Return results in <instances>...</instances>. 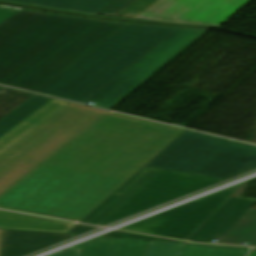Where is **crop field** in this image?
<instances>
[{
  "label": "crop field",
  "instance_id": "obj_28",
  "mask_svg": "<svg viewBox=\"0 0 256 256\" xmlns=\"http://www.w3.org/2000/svg\"><path fill=\"white\" fill-rule=\"evenodd\" d=\"M256 247V237L247 245Z\"/></svg>",
  "mask_w": 256,
  "mask_h": 256
},
{
  "label": "crop field",
  "instance_id": "obj_15",
  "mask_svg": "<svg viewBox=\"0 0 256 256\" xmlns=\"http://www.w3.org/2000/svg\"><path fill=\"white\" fill-rule=\"evenodd\" d=\"M76 224L0 210V228L67 233Z\"/></svg>",
  "mask_w": 256,
  "mask_h": 256
},
{
  "label": "crop field",
  "instance_id": "obj_25",
  "mask_svg": "<svg viewBox=\"0 0 256 256\" xmlns=\"http://www.w3.org/2000/svg\"><path fill=\"white\" fill-rule=\"evenodd\" d=\"M95 229L94 227H89L85 225H80L77 224L73 229H71L68 233H73V234H81L90 230Z\"/></svg>",
  "mask_w": 256,
  "mask_h": 256
},
{
  "label": "crop field",
  "instance_id": "obj_14",
  "mask_svg": "<svg viewBox=\"0 0 256 256\" xmlns=\"http://www.w3.org/2000/svg\"><path fill=\"white\" fill-rule=\"evenodd\" d=\"M69 104L71 103L56 99L51 100L25 121L0 138V155L38 129Z\"/></svg>",
  "mask_w": 256,
  "mask_h": 256
},
{
  "label": "crop field",
  "instance_id": "obj_23",
  "mask_svg": "<svg viewBox=\"0 0 256 256\" xmlns=\"http://www.w3.org/2000/svg\"><path fill=\"white\" fill-rule=\"evenodd\" d=\"M103 236L132 238V239H146V240L176 241V240L156 238V237H150V236H144V235H138V234H132V233H125V232H119V231H114V232H111V233L103 235ZM178 242H182V241H178Z\"/></svg>",
  "mask_w": 256,
  "mask_h": 256
},
{
  "label": "crop field",
  "instance_id": "obj_11",
  "mask_svg": "<svg viewBox=\"0 0 256 256\" xmlns=\"http://www.w3.org/2000/svg\"><path fill=\"white\" fill-rule=\"evenodd\" d=\"M72 235L5 230L1 256H22Z\"/></svg>",
  "mask_w": 256,
  "mask_h": 256
},
{
  "label": "crop field",
  "instance_id": "obj_4",
  "mask_svg": "<svg viewBox=\"0 0 256 256\" xmlns=\"http://www.w3.org/2000/svg\"><path fill=\"white\" fill-rule=\"evenodd\" d=\"M105 113L72 103L0 156V198Z\"/></svg>",
  "mask_w": 256,
  "mask_h": 256
},
{
  "label": "crop field",
  "instance_id": "obj_17",
  "mask_svg": "<svg viewBox=\"0 0 256 256\" xmlns=\"http://www.w3.org/2000/svg\"><path fill=\"white\" fill-rule=\"evenodd\" d=\"M52 98L34 95L11 114L0 121V137L25 120Z\"/></svg>",
  "mask_w": 256,
  "mask_h": 256
},
{
  "label": "crop field",
  "instance_id": "obj_10",
  "mask_svg": "<svg viewBox=\"0 0 256 256\" xmlns=\"http://www.w3.org/2000/svg\"><path fill=\"white\" fill-rule=\"evenodd\" d=\"M256 204V199L230 197L187 240L217 244Z\"/></svg>",
  "mask_w": 256,
  "mask_h": 256
},
{
  "label": "crop field",
  "instance_id": "obj_16",
  "mask_svg": "<svg viewBox=\"0 0 256 256\" xmlns=\"http://www.w3.org/2000/svg\"><path fill=\"white\" fill-rule=\"evenodd\" d=\"M33 7L92 15L112 0H0Z\"/></svg>",
  "mask_w": 256,
  "mask_h": 256
},
{
  "label": "crop field",
  "instance_id": "obj_30",
  "mask_svg": "<svg viewBox=\"0 0 256 256\" xmlns=\"http://www.w3.org/2000/svg\"><path fill=\"white\" fill-rule=\"evenodd\" d=\"M253 209H256V206Z\"/></svg>",
  "mask_w": 256,
  "mask_h": 256
},
{
  "label": "crop field",
  "instance_id": "obj_24",
  "mask_svg": "<svg viewBox=\"0 0 256 256\" xmlns=\"http://www.w3.org/2000/svg\"><path fill=\"white\" fill-rule=\"evenodd\" d=\"M18 11V9L0 7V23Z\"/></svg>",
  "mask_w": 256,
  "mask_h": 256
},
{
  "label": "crop field",
  "instance_id": "obj_29",
  "mask_svg": "<svg viewBox=\"0 0 256 256\" xmlns=\"http://www.w3.org/2000/svg\"><path fill=\"white\" fill-rule=\"evenodd\" d=\"M249 256H256V249H252V251L249 254Z\"/></svg>",
  "mask_w": 256,
  "mask_h": 256
},
{
  "label": "crop field",
  "instance_id": "obj_20",
  "mask_svg": "<svg viewBox=\"0 0 256 256\" xmlns=\"http://www.w3.org/2000/svg\"><path fill=\"white\" fill-rule=\"evenodd\" d=\"M32 94L4 88L0 91V120L29 99Z\"/></svg>",
  "mask_w": 256,
  "mask_h": 256
},
{
  "label": "crop field",
  "instance_id": "obj_22",
  "mask_svg": "<svg viewBox=\"0 0 256 256\" xmlns=\"http://www.w3.org/2000/svg\"><path fill=\"white\" fill-rule=\"evenodd\" d=\"M134 1L135 0H114L99 12H97V14L114 16Z\"/></svg>",
  "mask_w": 256,
  "mask_h": 256
},
{
  "label": "crop field",
  "instance_id": "obj_12",
  "mask_svg": "<svg viewBox=\"0 0 256 256\" xmlns=\"http://www.w3.org/2000/svg\"><path fill=\"white\" fill-rule=\"evenodd\" d=\"M159 171L143 167L81 222L98 225Z\"/></svg>",
  "mask_w": 256,
  "mask_h": 256
},
{
  "label": "crop field",
  "instance_id": "obj_18",
  "mask_svg": "<svg viewBox=\"0 0 256 256\" xmlns=\"http://www.w3.org/2000/svg\"><path fill=\"white\" fill-rule=\"evenodd\" d=\"M256 236V210H251L218 244L242 246Z\"/></svg>",
  "mask_w": 256,
  "mask_h": 256
},
{
  "label": "crop field",
  "instance_id": "obj_26",
  "mask_svg": "<svg viewBox=\"0 0 256 256\" xmlns=\"http://www.w3.org/2000/svg\"><path fill=\"white\" fill-rule=\"evenodd\" d=\"M80 252L81 251H78V250H63L55 254H52L50 256H79Z\"/></svg>",
  "mask_w": 256,
  "mask_h": 256
},
{
  "label": "crop field",
  "instance_id": "obj_2",
  "mask_svg": "<svg viewBox=\"0 0 256 256\" xmlns=\"http://www.w3.org/2000/svg\"><path fill=\"white\" fill-rule=\"evenodd\" d=\"M125 26L21 10L0 24V84L37 92Z\"/></svg>",
  "mask_w": 256,
  "mask_h": 256
},
{
  "label": "crop field",
  "instance_id": "obj_19",
  "mask_svg": "<svg viewBox=\"0 0 256 256\" xmlns=\"http://www.w3.org/2000/svg\"><path fill=\"white\" fill-rule=\"evenodd\" d=\"M250 249L186 244L180 256H246Z\"/></svg>",
  "mask_w": 256,
  "mask_h": 256
},
{
  "label": "crop field",
  "instance_id": "obj_21",
  "mask_svg": "<svg viewBox=\"0 0 256 256\" xmlns=\"http://www.w3.org/2000/svg\"><path fill=\"white\" fill-rule=\"evenodd\" d=\"M185 244L150 241L144 256H179Z\"/></svg>",
  "mask_w": 256,
  "mask_h": 256
},
{
  "label": "crop field",
  "instance_id": "obj_13",
  "mask_svg": "<svg viewBox=\"0 0 256 256\" xmlns=\"http://www.w3.org/2000/svg\"><path fill=\"white\" fill-rule=\"evenodd\" d=\"M148 244L139 240L100 238L68 249L82 250L81 256H143Z\"/></svg>",
  "mask_w": 256,
  "mask_h": 256
},
{
  "label": "crop field",
  "instance_id": "obj_5",
  "mask_svg": "<svg viewBox=\"0 0 256 256\" xmlns=\"http://www.w3.org/2000/svg\"><path fill=\"white\" fill-rule=\"evenodd\" d=\"M145 166L226 180L256 167V147L186 130Z\"/></svg>",
  "mask_w": 256,
  "mask_h": 256
},
{
  "label": "crop field",
  "instance_id": "obj_7",
  "mask_svg": "<svg viewBox=\"0 0 256 256\" xmlns=\"http://www.w3.org/2000/svg\"><path fill=\"white\" fill-rule=\"evenodd\" d=\"M249 1L251 0H136L116 16L218 26Z\"/></svg>",
  "mask_w": 256,
  "mask_h": 256
},
{
  "label": "crop field",
  "instance_id": "obj_8",
  "mask_svg": "<svg viewBox=\"0 0 256 256\" xmlns=\"http://www.w3.org/2000/svg\"><path fill=\"white\" fill-rule=\"evenodd\" d=\"M240 187L241 186L236 185L227 188L127 226L122 228V230L186 240Z\"/></svg>",
  "mask_w": 256,
  "mask_h": 256
},
{
  "label": "crop field",
  "instance_id": "obj_1",
  "mask_svg": "<svg viewBox=\"0 0 256 256\" xmlns=\"http://www.w3.org/2000/svg\"><path fill=\"white\" fill-rule=\"evenodd\" d=\"M185 130L107 112L0 199V208L80 222Z\"/></svg>",
  "mask_w": 256,
  "mask_h": 256
},
{
  "label": "crop field",
  "instance_id": "obj_31",
  "mask_svg": "<svg viewBox=\"0 0 256 256\" xmlns=\"http://www.w3.org/2000/svg\"><path fill=\"white\" fill-rule=\"evenodd\" d=\"M2 87L0 86V89H1Z\"/></svg>",
  "mask_w": 256,
  "mask_h": 256
},
{
  "label": "crop field",
  "instance_id": "obj_3",
  "mask_svg": "<svg viewBox=\"0 0 256 256\" xmlns=\"http://www.w3.org/2000/svg\"><path fill=\"white\" fill-rule=\"evenodd\" d=\"M175 30L129 25L38 93L82 103Z\"/></svg>",
  "mask_w": 256,
  "mask_h": 256
},
{
  "label": "crop field",
  "instance_id": "obj_9",
  "mask_svg": "<svg viewBox=\"0 0 256 256\" xmlns=\"http://www.w3.org/2000/svg\"><path fill=\"white\" fill-rule=\"evenodd\" d=\"M222 180L161 170L99 226L106 225Z\"/></svg>",
  "mask_w": 256,
  "mask_h": 256
},
{
  "label": "crop field",
  "instance_id": "obj_6",
  "mask_svg": "<svg viewBox=\"0 0 256 256\" xmlns=\"http://www.w3.org/2000/svg\"><path fill=\"white\" fill-rule=\"evenodd\" d=\"M206 32L178 29L84 102L111 110Z\"/></svg>",
  "mask_w": 256,
  "mask_h": 256
},
{
  "label": "crop field",
  "instance_id": "obj_27",
  "mask_svg": "<svg viewBox=\"0 0 256 256\" xmlns=\"http://www.w3.org/2000/svg\"><path fill=\"white\" fill-rule=\"evenodd\" d=\"M3 233H4V230H0V254H1V247H2Z\"/></svg>",
  "mask_w": 256,
  "mask_h": 256
}]
</instances>
